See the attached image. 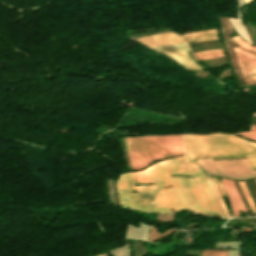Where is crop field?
I'll return each instance as SVG.
<instances>
[{"label": "crop field", "instance_id": "3316defc", "mask_svg": "<svg viewBox=\"0 0 256 256\" xmlns=\"http://www.w3.org/2000/svg\"><path fill=\"white\" fill-rule=\"evenodd\" d=\"M237 183H238V185H239V187H240L242 193L244 194V196H245V198H246V200H247V202H248V204H249V206H250L252 212H253V213H256V209H255V207H254V204H253V202H252V200H251V198H250V196H249V194H248V192H247V190H246V188H245L243 182H237Z\"/></svg>", "mask_w": 256, "mask_h": 256}, {"label": "crop field", "instance_id": "22f410ed", "mask_svg": "<svg viewBox=\"0 0 256 256\" xmlns=\"http://www.w3.org/2000/svg\"><path fill=\"white\" fill-rule=\"evenodd\" d=\"M245 1H247L248 3H250L251 0H245Z\"/></svg>", "mask_w": 256, "mask_h": 256}, {"label": "crop field", "instance_id": "e52e79f7", "mask_svg": "<svg viewBox=\"0 0 256 256\" xmlns=\"http://www.w3.org/2000/svg\"><path fill=\"white\" fill-rule=\"evenodd\" d=\"M166 56L187 70H202L195 62L191 60L187 51L167 54Z\"/></svg>", "mask_w": 256, "mask_h": 256}, {"label": "crop field", "instance_id": "34b2d1b8", "mask_svg": "<svg viewBox=\"0 0 256 256\" xmlns=\"http://www.w3.org/2000/svg\"><path fill=\"white\" fill-rule=\"evenodd\" d=\"M194 163L196 166L206 171L207 179L217 200L222 217L226 216L224 214L216 190L209 178V174L225 176L232 179H248L256 177V171L251 170L246 158L238 160H212L211 158H207L194 160Z\"/></svg>", "mask_w": 256, "mask_h": 256}, {"label": "crop field", "instance_id": "dd49c442", "mask_svg": "<svg viewBox=\"0 0 256 256\" xmlns=\"http://www.w3.org/2000/svg\"><path fill=\"white\" fill-rule=\"evenodd\" d=\"M221 182L230 201L233 216L240 217L238 210L242 209L243 213H245L246 210L233 182L231 180L223 178H221Z\"/></svg>", "mask_w": 256, "mask_h": 256}, {"label": "crop field", "instance_id": "cbeb9de0", "mask_svg": "<svg viewBox=\"0 0 256 256\" xmlns=\"http://www.w3.org/2000/svg\"><path fill=\"white\" fill-rule=\"evenodd\" d=\"M252 115H256V112L252 113Z\"/></svg>", "mask_w": 256, "mask_h": 256}, {"label": "crop field", "instance_id": "ac0d7876", "mask_svg": "<svg viewBox=\"0 0 256 256\" xmlns=\"http://www.w3.org/2000/svg\"><path fill=\"white\" fill-rule=\"evenodd\" d=\"M186 154L195 158H247L256 169V143L231 134L181 135ZM181 136H144L123 138L133 169H141L150 162L171 156L183 155L185 150Z\"/></svg>", "mask_w": 256, "mask_h": 256}, {"label": "crop field", "instance_id": "5a996713", "mask_svg": "<svg viewBox=\"0 0 256 256\" xmlns=\"http://www.w3.org/2000/svg\"><path fill=\"white\" fill-rule=\"evenodd\" d=\"M228 250L205 249L202 250V256H227Z\"/></svg>", "mask_w": 256, "mask_h": 256}, {"label": "crop field", "instance_id": "f4fd0767", "mask_svg": "<svg viewBox=\"0 0 256 256\" xmlns=\"http://www.w3.org/2000/svg\"><path fill=\"white\" fill-rule=\"evenodd\" d=\"M240 47H233L248 85L256 84V47L242 41L239 36L231 37Z\"/></svg>", "mask_w": 256, "mask_h": 256}, {"label": "crop field", "instance_id": "8a807250", "mask_svg": "<svg viewBox=\"0 0 256 256\" xmlns=\"http://www.w3.org/2000/svg\"><path fill=\"white\" fill-rule=\"evenodd\" d=\"M171 175H196L181 178ZM157 183L134 186V184ZM172 187L162 189L164 186ZM137 190V194L131 190ZM119 204L146 212H172L170 209L219 215L214 197L201 169L187 156L157 162L134 173L122 174L117 181Z\"/></svg>", "mask_w": 256, "mask_h": 256}, {"label": "crop field", "instance_id": "d8731c3e", "mask_svg": "<svg viewBox=\"0 0 256 256\" xmlns=\"http://www.w3.org/2000/svg\"><path fill=\"white\" fill-rule=\"evenodd\" d=\"M193 57L195 60L197 59H208L212 57H217V56H223L224 51L222 48L216 49V50H208V51H203V52H195L192 53Z\"/></svg>", "mask_w": 256, "mask_h": 256}, {"label": "crop field", "instance_id": "412701ff", "mask_svg": "<svg viewBox=\"0 0 256 256\" xmlns=\"http://www.w3.org/2000/svg\"><path fill=\"white\" fill-rule=\"evenodd\" d=\"M182 36L186 40V42H194V41H202V40H210V39L218 38L216 29L190 33V34H183ZM183 38L181 37V35H175L172 33L165 32L161 34L146 36L143 38H137L135 40L143 43L145 46H151V45L185 42ZM149 48L164 54L183 51V50H189L185 43L151 46Z\"/></svg>", "mask_w": 256, "mask_h": 256}, {"label": "crop field", "instance_id": "28ad6ade", "mask_svg": "<svg viewBox=\"0 0 256 256\" xmlns=\"http://www.w3.org/2000/svg\"><path fill=\"white\" fill-rule=\"evenodd\" d=\"M211 179H212V181H213V183H214V185H215V188H216V190H217V193H218L219 198H220V200H221V203H222V205H223V208H224V211H225V213H226V216L229 217V216H228V213H227L226 206H225V204L223 203L222 198H221V196L224 195V192H223V190H222V187H221V185L219 184V182H218V180H217L216 178L211 177ZM224 196H225V195H224Z\"/></svg>", "mask_w": 256, "mask_h": 256}, {"label": "crop field", "instance_id": "d1516ede", "mask_svg": "<svg viewBox=\"0 0 256 256\" xmlns=\"http://www.w3.org/2000/svg\"><path fill=\"white\" fill-rule=\"evenodd\" d=\"M256 141V125H251L249 132L236 133Z\"/></svg>", "mask_w": 256, "mask_h": 256}]
</instances>
